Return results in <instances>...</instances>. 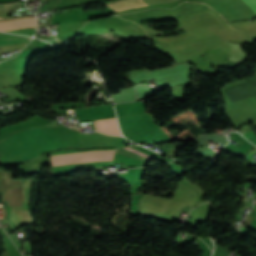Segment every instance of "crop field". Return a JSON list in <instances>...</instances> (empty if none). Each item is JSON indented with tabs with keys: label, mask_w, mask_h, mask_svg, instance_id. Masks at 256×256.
<instances>
[{
	"label": "crop field",
	"mask_w": 256,
	"mask_h": 256,
	"mask_svg": "<svg viewBox=\"0 0 256 256\" xmlns=\"http://www.w3.org/2000/svg\"><path fill=\"white\" fill-rule=\"evenodd\" d=\"M27 22H36V20H35V18L32 19L31 15L0 18V24L27 23Z\"/></svg>",
	"instance_id": "crop-field-4"
},
{
	"label": "crop field",
	"mask_w": 256,
	"mask_h": 256,
	"mask_svg": "<svg viewBox=\"0 0 256 256\" xmlns=\"http://www.w3.org/2000/svg\"><path fill=\"white\" fill-rule=\"evenodd\" d=\"M108 9L115 12L146 6L142 0H116L106 3Z\"/></svg>",
	"instance_id": "crop-field-1"
},
{
	"label": "crop field",
	"mask_w": 256,
	"mask_h": 256,
	"mask_svg": "<svg viewBox=\"0 0 256 256\" xmlns=\"http://www.w3.org/2000/svg\"><path fill=\"white\" fill-rule=\"evenodd\" d=\"M245 2L256 12V0H245Z\"/></svg>",
	"instance_id": "crop-field-7"
},
{
	"label": "crop field",
	"mask_w": 256,
	"mask_h": 256,
	"mask_svg": "<svg viewBox=\"0 0 256 256\" xmlns=\"http://www.w3.org/2000/svg\"><path fill=\"white\" fill-rule=\"evenodd\" d=\"M97 130L110 135H121L118 130L117 121L115 118L113 119H103V120H95Z\"/></svg>",
	"instance_id": "crop-field-2"
},
{
	"label": "crop field",
	"mask_w": 256,
	"mask_h": 256,
	"mask_svg": "<svg viewBox=\"0 0 256 256\" xmlns=\"http://www.w3.org/2000/svg\"><path fill=\"white\" fill-rule=\"evenodd\" d=\"M126 148L129 149V150H131V151H133V152H135V153H137V154H139V155H141V156H143V157H145V158H147V159H149V160L152 159V158H150V157H148V156H146V155H144V154H142V153H140V152H138V151H136V150H134V149H132V148H130V147H126ZM116 151H117V152H120V153H123V154H126V155H129V156H131V157H134V158H137V159L146 161V159H144V158H142V157H140V156H138V155H136V154H134V153H132V152H130V151L124 149V148H122V149H117Z\"/></svg>",
	"instance_id": "crop-field-5"
},
{
	"label": "crop field",
	"mask_w": 256,
	"mask_h": 256,
	"mask_svg": "<svg viewBox=\"0 0 256 256\" xmlns=\"http://www.w3.org/2000/svg\"><path fill=\"white\" fill-rule=\"evenodd\" d=\"M31 38L25 36H16L0 32V45H6L18 42H29Z\"/></svg>",
	"instance_id": "crop-field-3"
},
{
	"label": "crop field",
	"mask_w": 256,
	"mask_h": 256,
	"mask_svg": "<svg viewBox=\"0 0 256 256\" xmlns=\"http://www.w3.org/2000/svg\"><path fill=\"white\" fill-rule=\"evenodd\" d=\"M19 7H20V2L0 4V11L11 10V9L19 8Z\"/></svg>",
	"instance_id": "crop-field-6"
}]
</instances>
